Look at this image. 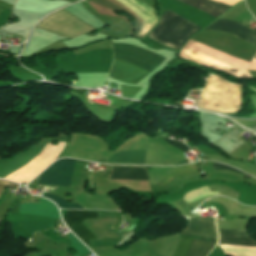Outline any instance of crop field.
I'll list each match as a JSON object with an SVG mask.
<instances>
[{"mask_svg": "<svg viewBox=\"0 0 256 256\" xmlns=\"http://www.w3.org/2000/svg\"><path fill=\"white\" fill-rule=\"evenodd\" d=\"M113 45L115 59L152 71L165 59V57L139 46L115 41H113ZM115 59L109 76L120 82L142 84L152 73V71Z\"/></svg>", "mask_w": 256, "mask_h": 256, "instance_id": "8a807250", "label": "crop field"}, {"mask_svg": "<svg viewBox=\"0 0 256 256\" xmlns=\"http://www.w3.org/2000/svg\"><path fill=\"white\" fill-rule=\"evenodd\" d=\"M197 25L167 11L158 26L148 36L172 49Z\"/></svg>", "mask_w": 256, "mask_h": 256, "instance_id": "ac0d7876", "label": "crop field"}, {"mask_svg": "<svg viewBox=\"0 0 256 256\" xmlns=\"http://www.w3.org/2000/svg\"><path fill=\"white\" fill-rule=\"evenodd\" d=\"M75 159H59L45 170L38 184L69 186Z\"/></svg>", "mask_w": 256, "mask_h": 256, "instance_id": "34b2d1b8", "label": "crop field"}, {"mask_svg": "<svg viewBox=\"0 0 256 256\" xmlns=\"http://www.w3.org/2000/svg\"><path fill=\"white\" fill-rule=\"evenodd\" d=\"M86 218H98V213L87 211L68 210L63 219L66 225L86 245H90L89 239H97L81 222Z\"/></svg>", "mask_w": 256, "mask_h": 256, "instance_id": "412701ff", "label": "crop field"}, {"mask_svg": "<svg viewBox=\"0 0 256 256\" xmlns=\"http://www.w3.org/2000/svg\"><path fill=\"white\" fill-rule=\"evenodd\" d=\"M182 235L217 240V229L215 220L190 218L188 229H184Z\"/></svg>", "mask_w": 256, "mask_h": 256, "instance_id": "f4fd0767", "label": "crop field"}, {"mask_svg": "<svg viewBox=\"0 0 256 256\" xmlns=\"http://www.w3.org/2000/svg\"><path fill=\"white\" fill-rule=\"evenodd\" d=\"M244 27L245 26L237 22L217 19L205 29L228 32L247 42L256 44V32L250 31Z\"/></svg>", "mask_w": 256, "mask_h": 256, "instance_id": "dd49c442", "label": "crop field"}, {"mask_svg": "<svg viewBox=\"0 0 256 256\" xmlns=\"http://www.w3.org/2000/svg\"><path fill=\"white\" fill-rule=\"evenodd\" d=\"M20 213L60 218L56 205L42 198L40 204H20Z\"/></svg>", "mask_w": 256, "mask_h": 256, "instance_id": "e52e79f7", "label": "crop field"}, {"mask_svg": "<svg viewBox=\"0 0 256 256\" xmlns=\"http://www.w3.org/2000/svg\"><path fill=\"white\" fill-rule=\"evenodd\" d=\"M215 17H220L234 5H226L216 0H179Z\"/></svg>", "mask_w": 256, "mask_h": 256, "instance_id": "d8731c3e", "label": "crop field"}, {"mask_svg": "<svg viewBox=\"0 0 256 256\" xmlns=\"http://www.w3.org/2000/svg\"><path fill=\"white\" fill-rule=\"evenodd\" d=\"M219 244H256L244 230L218 229Z\"/></svg>", "mask_w": 256, "mask_h": 256, "instance_id": "5a996713", "label": "crop field"}, {"mask_svg": "<svg viewBox=\"0 0 256 256\" xmlns=\"http://www.w3.org/2000/svg\"><path fill=\"white\" fill-rule=\"evenodd\" d=\"M110 178L147 179L145 168L113 167Z\"/></svg>", "mask_w": 256, "mask_h": 256, "instance_id": "3316defc", "label": "crop field"}, {"mask_svg": "<svg viewBox=\"0 0 256 256\" xmlns=\"http://www.w3.org/2000/svg\"><path fill=\"white\" fill-rule=\"evenodd\" d=\"M216 243L217 241L195 239L188 256H206Z\"/></svg>", "mask_w": 256, "mask_h": 256, "instance_id": "28ad6ade", "label": "crop field"}, {"mask_svg": "<svg viewBox=\"0 0 256 256\" xmlns=\"http://www.w3.org/2000/svg\"><path fill=\"white\" fill-rule=\"evenodd\" d=\"M193 164H195V163H193ZM189 165H192V164H188L187 166H189ZM197 172H198V170H197L196 164L189 166V167L184 166V167L178 169L177 171H175L174 173H172L171 175H169L168 177H166L159 184L167 185L169 182H171L174 178H176L180 174L189 176V175L195 174Z\"/></svg>", "mask_w": 256, "mask_h": 256, "instance_id": "d1516ede", "label": "crop field"}, {"mask_svg": "<svg viewBox=\"0 0 256 256\" xmlns=\"http://www.w3.org/2000/svg\"><path fill=\"white\" fill-rule=\"evenodd\" d=\"M193 238L182 237L173 256H186Z\"/></svg>", "mask_w": 256, "mask_h": 256, "instance_id": "22f410ed", "label": "crop field"}, {"mask_svg": "<svg viewBox=\"0 0 256 256\" xmlns=\"http://www.w3.org/2000/svg\"><path fill=\"white\" fill-rule=\"evenodd\" d=\"M69 239L71 241V248H74L79 251V253L75 254L74 256H81L85 253L91 252L85 245H83L80 240L75 237L72 233L69 234Z\"/></svg>", "mask_w": 256, "mask_h": 256, "instance_id": "cbeb9de0", "label": "crop field"}, {"mask_svg": "<svg viewBox=\"0 0 256 256\" xmlns=\"http://www.w3.org/2000/svg\"><path fill=\"white\" fill-rule=\"evenodd\" d=\"M43 197L53 200L61 208L82 209L78 204H68L65 200L47 193H44Z\"/></svg>", "mask_w": 256, "mask_h": 256, "instance_id": "5142ce71", "label": "crop field"}, {"mask_svg": "<svg viewBox=\"0 0 256 256\" xmlns=\"http://www.w3.org/2000/svg\"><path fill=\"white\" fill-rule=\"evenodd\" d=\"M121 88H122V96L130 97V98H132L141 89V87L126 86V85H121Z\"/></svg>", "mask_w": 256, "mask_h": 256, "instance_id": "d9b57169", "label": "crop field"}, {"mask_svg": "<svg viewBox=\"0 0 256 256\" xmlns=\"http://www.w3.org/2000/svg\"><path fill=\"white\" fill-rule=\"evenodd\" d=\"M164 139L167 143H169V144H171V145H173V146H175V147H177V148H179V149H181L185 152L190 150V148H188L183 142L171 140V139H168V138H165V137H164Z\"/></svg>", "mask_w": 256, "mask_h": 256, "instance_id": "733c2abd", "label": "crop field"}, {"mask_svg": "<svg viewBox=\"0 0 256 256\" xmlns=\"http://www.w3.org/2000/svg\"><path fill=\"white\" fill-rule=\"evenodd\" d=\"M212 166H213L214 170L224 169V170H232V171H235V172H238V173H242V172H239V171H237V170H235L233 168L221 165L219 163L213 164ZM242 174H244V173H242Z\"/></svg>", "mask_w": 256, "mask_h": 256, "instance_id": "4a817a6b", "label": "crop field"}, {"mask_svg": "<svg viewBox=\"0 0 256 256\" xmlns=\"http://www.w3.org/2000/svg\"><path fill=\"white\" fill-rule=\"evenodd\" d=\"M16 185H17V184H15V183H11V182H7V181L0 180V193H1V191L4 189L5 186L16 187Z\"/></svg>", "mask_w": 256, "mask_h": 256, "instance_id": "bc2a9ffb", "label": "crop field"}]
</instances>
